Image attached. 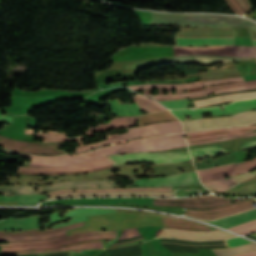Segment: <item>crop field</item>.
<instances>
[{
	"label": "crop field",
	"mask_w": 256,
	"mask_h": 256,
	"mask_svg": "<svg viewBox=\"0 0 256 256\" xmlns=\"http://www.w3.org/2000/svg\"><path fill=\"white\" fill-rule=\"evenodd\" d=\"M187 146L182 134H175L161 137H151L140 140H131L127 144L110 145L100 148L79 156H57V157H38L31 155H24L33 157L31 165L33 167L40 166H63L69 164H76L91 161L104 156L116 154L119 152H138V151H151L173 149ZM23 155V154H20Z\"/></svg>",
	"instance_id": "crop-field-1"
},
{
	"label": "crop field",
	"mask_w": 256,
	"mask_h": 256,
	"mask_svg": "<svg viewBox=\"0 0 256 256\" xmlns=\"http://www.w3.org/2000/svg\"><path fill=\"white\" fill-rule=\"evenodd\" d=\"M112 165L117 166L127 163H135L142 161H150L153 163H173V162H183L190 161V156L188 152L176 153H158V154H149L148 152H140L134 154H124L113 155L107 157ZM105 158H101L89 163H82L68 167L62 168H39L33 169L29 167H20L18 168L17 173L27 174V175H60V174H79V173H90L94 171H99L103 169H108L112 166L109 161Z\"/></svg>",
	"instance_id": "crop-field-2"
},
{
	"label": "crop field",
	"mask_w": 256,
	"mask_h": 256,
	"mask_svg": "<svg viewBox=\"0 0 256 256\" xmlns=\"http://www.w3.org/2000/svg\"><path fill=\"white\" fill-rule=\"evenodd\" d=\"M113 231H93L71 235L46 241L2 244V255H20L45 253L53 251H69L77 249H102V240H114Z\"/></svg>",
	"instance_id": "crop-field-3"
},
{
	"label": "crop field",
	"mask_w": 256,
	"mask_h": 256,
	"mask_svg": "<svg viewBox=\"0 0 256 256\" xmlns=\"http://www.w3.org/2000/svg\"><path fill=\"white\" fill-rule=\"evenodd\" d=\"M142 166H145V165H135V166L122 165V166H118V167H115V168H112V169L91 173V174H88V175L46 177L49 180H45V181H43L44 177L19 175L20 179H18L17 176L14 175L12 177H5L9 181L4 182V183L47 185V184H53V183L68 181V180L91 181V180L103 179V178H107V177H111V176H125V177H134L135 178V176L145 175V176L152 177V175H150L148 173H143V170L140 168ZM149 167H151V170H154V172H155L153 174V177L182 173L183 170L185 172L196 170L193 163L153 165V166H149ZM149 167H147V168H149ZM118 168H120V172L117 173V174H114L110 171V170L118 169ZM180 168H182L181 171L178 170ZM134 170H140V173L139 174H134L133 173ZM54 178H59V179L54 180ZM40 180L42 181V183L38 182Z\"/></svg>",
	"instance_id": "crop-field-4"
},
{
	"label": "crop field",
	"mask_w": 256,
	"mask_h": 256,
	"mask_svg": "<svg viewBox=\"0 0 256 256\" xmlns=\"http://www.w3.org/2000/svg\"><path fill=\"white\" fill-rule=\"evenodd\" d=\"M51 199L58 197H81V196H174L172 187L158 188H132V189H72L49 192ZM50 199L43 195H18L0 196V201H18V204H34L38 201Z\"/></svg>",
	"instance_id": "crop-field-5"
},
{
	"label": "crop field",
	"mask_w": 256,
	"mask_h": 256,
	"mask_svg": "<svg viewBox=\"0 0 256 256\" xmlns=\"http://www.w3.org/2000/svg\"><path fill=\"white\" fill-rule=\"evenodd\" d=\"M151 26L217 28L242 26L256 31V24L240 17L221 15L160 14L152 12Z\"/></svg>",
	"instance_id": "crop-field-6"
},
{
	"label": "crop field",
	"mask_w": 256,
	"mask_h": 256,
	"mask_svg": "<svg viewBox=\"0 0 256 256\" xmlns=\"http://www.w3.org/2000/svg\"><path fill=\"white\" fill-rule=\"evenodd\" d=\"M163 226L182 228L189 230H208L215 229L206 225H202L186 219H173L168 217H162ZM165 228L162 229L159 237L178 238L186 240H222L235 237L236 235L224 232L222 230H208V231H189L182 229Z\"/></svg>",
	"instance_id": "crop-field-7"
},
{
	"label": "crop field",
	"mask_w": 256,
	"mask_h": 256,
	"mask_svg": "<svg viewBox=\"0 0 256 256\" xmlns=\"http://www.w3.org/2000/svg\"><path fill=\"white\" fill-rule=\"evenodd\" d=\"M129 131L130 132L128 133L111 137L100 142L77 146L75 147L74 153L88 151L105 144H110V143H114V142L125 140V139L164 135V134L183 133L182 125L180 121L162 122V123L144 125L138 128H131L129 129Z\"/></svg>",
	"instance_id": "crop-field-8"
},
{
	"label": "crop field",
	"mask_w": 256,
	"mask_h": 256,
	"mask_svg": "<svg viewBox=\"0 0 256 256\" xmlns=\"http://www.w3.org/2000/svg\"><path fill=\"white\" fill-rule=\"evenodd\" d=\"M256 129L255 126H246V127H232V128H223V129H209L203 131H197L189 134H184L187 136L186 141L188 146L222 141V140H229L235 139L243 134L247 133L248 131ZM256 130H252L250 133L242 136L247 137L250 134L254 133ZM250 136H256V132ZM249 136V137H250Z\"/></svg>",
	"instance_id": "crop-field-9"
},
{
	"label": "crop field",
	"mask_w": 256,
	"mask_h": 256,
	"mask_svg": "<svg viewBox=\"0 0 256 256\" xmlns=\"http://www.w3.org/2000/svg\"><path fill=\"white\" fill-rule=\"evenodd\" d=\"M112 183L106 180H102V181H93V182L68 181L64 183L47 185V186H0V194H4V195L30 194V193L49 192L52 190L67 189V188H73V187L116 188V186ZM34 187H38L39 192H34Z\"/></svg>",
	"instance_id": "crop-field-10"
},
{
	"label": "crop field",
	"mask_w": 256,
	"mask_h": 256,
	"mask_svg": "<svg viewBox=\"0 0 256 256\" xmlns=\"http://www.w3.org/2000/svg\"><path fill=\"white\" fill-rule=\"evenodd\" d=\"M249 117H256V111L242 112L229 117L204 118V119L188 120V121H181V122L183 126H188V125L223 122V121L236 120V119L249 118ZM255 123H256V118H249V119L229 121V122H223V123L188 126V127H184V131L191 132V131L202 130L206 128H220V127H228V126L250 125Z\"/></svg>",
	"instance_id": "crop-field-11"
},
{
	"label": "crop field",
	"mask_w": 256,
	"mask_h": 256,
	"mask_svg": "<svg viewBox=\"0 0 256 256\" xmlns=\"http://www.w3.org/2000/svg\"><path fill=\"white\" fill-rule=\"evenodd\" d=\"M202 88L203 87L187 89L186 93L184 94H182L183 90H177L176 95H172V90H168V95H163L162 90H159V95H149L151 90L144 91V94L155 98L157 101H165L185 99L187 97H201L206 96L207 93H224L230 91L246 90L244 82L206 87L205 90H202Z\"/></svg>",
	"instance_id": "crop-field-12"
},
{
	"label": "crop field",
	"mask_w": 256,
	"mask_h": 256,
	"mask_svg": "<svg viewBox=\"0 0 256 256\" xmlns=\"http://www.w3.org/2000/svg\"><path fill=\"white\" fill-rule=\"evenodd\" d=\"M84 223L85 221L71 226L46 230L42 232L40 229L26 231H0V240H7L8 242H26L62 237L66 236L65 230L83 226Z\"/></svg>",
	"instance_id": "crop-field-13"
},
{
	"label": "crop field",
	"mask_w": 256,
	"mask_h": 256,
	"mask_svg": "<svg viewBox=\"0 0 256 256\" xmlns=\"http://www.w3.org/2000/svg\"><path fill=\"white\" fill-rule=\"evenodd\" d=\"M175 55L209 54L223 56L253 57V47L215 46V47H173ZM256 57V47H254Z\"/></svg>",
	"instance_id": "crop-field-14"
},
{
	"label": "crop field",
	"mask_w": 256,
	"mask_h": 256,
	"mask_svg": "<svg viewBox=\"0 0 256 256\" xmlns=\"http://www.w3.org/2000/svg\"><path fill=\"white\" fill-rule=\"evenodd\" d=\"M252 203H255V199L249 198L240 202L232 203L230 205L214 209L198 210L186 208L184 214L193 216L197 219L214 220L221 217L233 215L245 210L253 209L254 206Z\"/></svg>",
	"instance_id": "crop-field-15"
},
{
	"label": "crop field",
	"mask_w": 256,
	"mask_h": 256,
	"mask_svg": "<svg viewBox=\"0 0 256 256\" xmlns=\"http://www.w3.org/2000/svg\"><path fill=\"white\" fill-rule=\"evenodd\" d=\"M231 203L230 199L206 195L186 199H154V205L159 206H182L191 208H213Z\"/></svg>",
	"instance_id": "crop-field-16"
},
{
	"label": "crop field",
	"mask_w": 256,
	"mask_h": 256,
	"mask_svg": "<svg viewBox=\"0 0 256 256\" xmlns=\"http://www.w3.org/2000/svg\"><path fill=\"white\" fill-rule=\"evenodd\" d=\"M2 139L0 141V147L25 153L33 154H48V155H57V154H66V152L56 150L57 146H66V143L60 144H46V143H32V142H23L18 140H13L8 137L0 136Z\"/></svg>",
	"instance_id": "crop-field-17"
},
{
	"label": "crop field",
	"mask_w": 256,
	"mask_h": 256,
	"mask_svg": "<svg viewBox=\"0 0 256 256\" xmlns=\"http://www.w3.org/2000/svg\"><path fill=\"white\" fill-rule=\"evenodd\" d=\"M224 108L225 110L223 111H220V108L218 107L214 109L178 110V111H171V112L181 120H186L185 117L189 115H192V119L202 118V114H206V113H210L213 117L224 116V115H230V114H234V113H238L246 110L256 109V99L236 102L229 106H225Z\"/></svg>",
	"instance_id": "crop-field-18"
},
{
	"label": "crop field",
	"mask_w": 256,
	"mask_h": 256,
	"mask_svg": "<svg viewBox=\"0 0 256 256\" xmlns=\"http://www.w3.org/2000/svg\"><path fill=\"white\" fill-rule=\"evenodd\" d=\"M133 99L139 106L140 111L157 112L166 110L160 104L148 97L137 94ZM112 115H138L139 110L136 104L134 105H120L118 100L108 101Z\"/></svg>",
	"instance_id": "crop-field-19"
},
{
	"label": "crop field",
	"mask_w": 256,
	"mask_h": 256,
	"mask_svg": "<svg viewBox=\"0 0 256 256\" xmlns=\"http://www.w3.org/2000/svg\"><path fill=\"white\" fill-rule=\"evenodd\" d=\"M254 168H256V159L249 162L241 163V164H231V165L212 168V169L200 170L198 171V173H199L201 182L204 183V182L222 179V178H225V176L230 177L232 175L247 172Z\"/></svg>",
	"instance_id": "crop-field-20"
},
{
	"label": "crop field",
	"mask_w": 256,
	"mask_h": 256,
	"mask_svg": "<svg viewBox=\"0 0 256 256\" xmlns=\"http://www.w3.org/2000/svg\"><path fill=\"white\" fill-rule=\"evenodd\" d=\"M133 181V185H126V187L180 186L200 183L196 172L147 180L133 179Z\"/></svg>",
	"instance_id": "crop-field-21"
},
{
	"label": "crop field",
	"mask_w": 256,
	"mask_h": 256,
	"mask_svg": "<svg viewBox=\"0 0 256 256\" xmlns=\"http://www.w3.org/2000/svg\"><path fill=\"white\" fill-rule=\"evenodd\" d=\"M251 58L238 57H222V56H208V55H194V56H175V63L184 62L187 64L199 63L203 66L214 64L217 62L229 63L235 60H249Z\"/></svg>",
	"instance_id": "crop-field-22"
},
{
	"label": "crop field",
	"mask_w": 256,
	"mask_h": 256,
	"mask_svg": "<svg viewBox=\"0 0 256 256\" xmlns=\"http://www.w3.org/2000/svg\"><path fill=\"white\" fill-rule=\"evenodd\" d=\"M175 36L180 37H233L232 28L191 29L181 28Z\"/></svg>",
	"instance_id": "crop-field-23"
},
{
	"label": "crop field",
	"mask_w": 256,
	"mask_h": 256,
	"mask_svg": "<svg viewBox=\"0 0 256 256\" xmlns=\"http://www.w3.org/2000/svg\"><path fill=\"white\" fill-rule=\"evenodd\" d=\"M244 81L242 77L239 78H231L224 80H216V81H206V82H198V83H188V84H180V85H166V84H151V85H137V86H127L131 89H146V88H167V89H181V88H192L199 87L203 85H215L229 82H239Z\"/></svg>",
	"instance_id": "crop-field-24"
},
{
	"label": "crop field",
	"mask_w": 256,
	"mask_h": 256,
	"mask_svg": "<svg viewBox=\"0 0 256 256\" xmlns=\"http://www.w3.org/2000/svg\"><path fill=\"white\" fill-rule=\"evenodd\" d=\"M175 46L233 45L234 38H177Z\"/></svg>",
	"instance_id": "crop-field-25"
},
{
	"label": "crop field",
	"mask_w": 256,
	"mask_h": 256,
	"mask_svg": "<svg viewBox=\"0 0 256 256\" xmlns=\"http://www.w3.org/2000/svg\"><path fill=\"white\" fill-rule=\"evenodd\" d=\"M256 175V172H247L243 175L219 180V181H214V182H209V183H204V185L213 193L228 190L233 188L237 183H240L242 181H245L247 179H250Z\"/></svg>",
	"instance_id": "crop-field-26"
},
{
	"label": "crop field",
	"mask_w": 256,
	"mask_h": 256,
	"mask_svg": "<svg viewBox=\"0 0 256 256\" xmlns=\"http://www.w3.org/2000/svg\"><path fill=\"white\" fill-rule=\"evenodd\" d=\"M40 215L18 220H7L0 223V230H26L38 228Z\"/></svg>",
	"instance_id": "crop-field-27"
},
{
	"label": "crop field",
	"mask_w": 256,
	"mask_h": 256,
	"mask_svg": "<svg viewBox=\"0 0 256 256\" xmlns=\"http://www.w3.org/2000/svg\"><path fill=\"white\" fill-rule=\"evenodd\" d=\"M254 219H256V209L252 211L244 212L241 214L229 216L226 218H222L214 221H207V222L228 228V227L240 225L242 223H245Z\"/></svg>",
	"instance_id": "crop-field-28"
},
{
	"label": "crop field",
	"mask_w": 256,
	"mask_h": 256,
	"mask_svg": "<svg viewBox=\"0 0 256 256\" xmlns=\"http://www.w3.org/2000/svg\"><path fill=\"white\" fill-rule=\"evenodd\" d=\"M136 236H140V234L136 230V228L126 229V230L122 231V233H121V235H120L118 240L127 239V238H131V237H136ZM144 241H146V239L144 237H141V238H137V239L121 242V243H118V244H114V245H111L108 248L128 246V245H133V244L141 243V242H144Z\"/></svg>",
	"instance_id": "crop-field-29"
},
{
	"label": "crop field",
	"mask_w": 256,
	"mask_h": 256,
	"mask_svg": "<svg viewBox=\"0 0 256 256\" xmlns=\"http://www.w3.org/2000/svg\"><path fill=\"white\" fill-rule=\"evenodd\" d=\"M235 160H236L235 157L233 156V154H231V155L220 157V158L217 157V160H214L213 158H208V159L202 160L201 163L196 161V162H194V164H195L196 169L199 170V169L208 168V167H212V166L230 164V163L234 162ZM207 162H210V163L207 164Z\"/></svg>",
	"instance_id": "crop-field-30"
},
{
	"label": "crop field",
	"mask_w": 256,
	"mask_h": 256,
	"mask_svg": "<svg viewBox=\"0 0 256 256\" xmlns=\"http://www.w3.org/2000/svg\"><path fill=\"white\" fill-rule=\"evenodd\" d=\"M26 134H37V137L45 138L44 142H63V141H69V140H77V139H83L82 136L76 137V138H70L66 139L64 133H57V132H49V134H43V132L39 133H33L32 130H25Z\"/></svg>",
	"instance_id": "crop-field-31"
},
{
	"label": "crop field",
	"mask_w": 256,
	"mask_h": 256,
	"mask_svg": "<svg viewBox=\"0 0 256 256\" xmlns=\"http://www.w3.org/2000/svg\"><path fill=\"white\" fill-rule=\"evenodd\" d=\"M251 250H256V244L255 243L240 246V247H234V248H230V249H215V250H212V251H214L217 254V256H229V255H232V254L251 251Z\"/></svg>",
	"instance_id": "crop-field-32"
},
{
	"label": "crop field",
	"mask_w": 256,
	"mask_h": 256,
	"mask_svg": "<svg viewBox=\"0 0 256 256\" xmlns=\"http://www.w3.org/2000/svg\"><path fill=\"white\" fill-rule=\"evenodd\" d=\"M192 158L202 156V155H214L219 153H228L226 150H222L216 146L206 147V148H199L190 150Z\"/></svg>",
	"instance_id": "crop-field-33"
},
{
	"label": "crop field",
	"mask_w": 256,
	"mask_h": 256,
	"mask_svg": "<svg viewBox=\"0 0 256 256\" xmlns=\"http://www.w3.org/2000/svg\"><path fill=\"white\" fill-rule=\"evenodd\" d=\"M233 231L239 232L241 234H246L250 232H255L256 231V220L250 221L248 223L242 224L237 227L229 228Z\"/></svg>",
	"instance_id": "crop-field-34"
},
{
	"label": "crop field",
	"mask_w": 256,
	"mask_h": 256,
	"mask_svg": "<svg viewBox=\"0 0 256 256\" xmlns=\"http://www.w3.org/2000/svg\"><path fill=\"white\" fill-rule=\"evenodd\" d=\"M161 103L169 109H182V108H187V103H191V102H188V99H185V100H178V101H165Z\"/></svg>",
	"instance_id": "crop-field-35"
},
{
	"label": "crop field",
	"mask_w": 256,
	"mask_h": 256,
	"mask_svg": "<svg viewBox=\"0 0 256 256\" xmlns=\"http://www.w3.org/2000/svg\"><path fill=\"white\" fill-rule=\"evenodd\" d=\"M236 76H240L239 72L211 75V76H203V77H200V79H201V81H206V80L222 79V78H229V77H236Z\"/></svg>",
	"instance_id": "crop-field-36"
},
{
	"label": "crop field",
	"mask_w": 256,
	"mask_h": 256,
	"mask_svg": "<svg viewBox=\"0 0 256 256\" xmlns=\"http://www.w3.org/2000/svg\"><path fill=\"white\" fill-rule=\"evenodd\" d=\"M226 1L232 7V9L235 11V13H238V14L247 13V11L244 9V7L237 0H226Z\"/></svg>",
	"instance_id": "crop-field-37"
},
{
	"label": "crop field",
	"mask_w": 256,
	"mask_h": 256,
	"mask_svg": "<svg viewBox=\"0 0 256 256\" xmlns=\"http://www.w3.org/2000/svg\"><path fill=\"white\" fill-rule=\"evenodd\" d=\"M228 246L229 247H234V246H239V245H244V244H248V243H252L248 240H245L241 237H237V238H232V239H228Z\"/></svg>",
	"instance_id": "crop-field-38"
},
{
	"label": "crop field",
	"mask_w": 256,
	"mask_h": 256,
	"mask_svg": "<svg viewBox=\"0 0 256 256\" xmlns=\"http://www.w3.org/2000/svg\"><path fill=\"white\" fill-rule=\"evenodd\" d=\"M255 146H256V140L250 141V142H247V143L243 144L241 150L251 148V147H255Z\"/></svg>",
	"instance_id": "crop-field-39"
},
{
	"label": "crop field",
	"mask_w": 256,
	"mask_h": 256,
	"mask_svg": "<svg viewBox=\"0 0 256 256\" xmlns=\"http://www.w3.org/2000/svg\"><path fill=\"white\" fill-rule=\"evenodd\" d=\"M239 2L246 8L248 12H250L251 5L248 0H239Z\"/></svg>",
	"instance_id": "crop-field-40"
},
{
	"label": "crop field",
	"mask_w": 256,
	"mask_h": 256,
	"mask_svg": "<svg viewBox=\"0 0 256 256\" xmlns=\"http://www.w3.org/2000/svg\"><path fill=\"white\" fill-rule=\"evenodd\" d=\"M11 119H12L11 117L0 115V120L1 121H5V122H8V123H11Z\"/></svg>",
	"instance_id": "crop-field-41"
},
{
	"label": "crop field",
	"mask_w": 256,
	"mask_h": 256,
	"mask_svg": "<svg viewBox=\"0 0 256 256\" xmlns=\"http://www.w3.org/2000/svg\"><path fill=\"white\" fill-rule=\"evenodd\" d=\"M255 182H256V177L251 179V180L245 181V182H243L239 185L244 186V185L252 184V183H255Z\"/></svg>",
	"instance_id": "crop-field-42"
},
{
	"label": "crop field",
	"mask_w": 256,
	"mask_h": 256,
	"mask_svg": "<svg viewBox=\"0 0 256 256\" xmlns=\"http://www.w3.org/2000/svg\"><path fill=\"white\" fill-rule=\"evenodd\" d=\"M236 256H256V252H248V253H244Z\"/></svg>",
	"instance_id": "crop-field-43"
},
{
	"label": "crop field",
	"mask_w": 256,
	"mask_h": 256,
	"mask_svg": "<svg viewBox=\"0 0 256 256\" xmlns=\"http://www.w3.org/2000/svg\"><path fill=\"white\" fill-rule=\"evenodd\" d=\"M250 35H251V38L256 39V33L255 32L250 30Z\"/></svg>",
	"instance_id": "crop-field-44"
},
{
	"label": "crop field",
	"mask_w": 256,
	"mask_h": 256,
	"mask_svg": "<svg viewBox=\"0 0 256 256\" xmlns=\"http://www.w3.org/2000/svg\"><path fill=\"white\" fill-rule=\"evenodd\" d=\"M252 41H253V45L256 46V40L252 39Z\"/></svg>",
	"instance_id": "crop-field-45"
},
{
	"label": "crop field",
	"mask_w": 256,
	"mask_h": 256,
	"mask_svg": "<svg viewBox=\"0 0 256 256\" xmlns=\"http://www.w3.org/2000/svg\"><path fill=\"white\" fill-rule=\"evenodd\" d=\"M224 242H225V244H226V247L228 248L226 240H225Z\"/></svg>",
	"instance_id": "crop-field-46"
},
{
	"label": "crop field",
	"mask_w": 256,
	"mask_h": 256,
	"mask_svg": "<svg viewBox=\"0 0 256 256\" xmlns=\"http://www.w3.org/2000/svg\"><path fill=\"white\" fill-rule=\"evenodd\" d=\"M256 20V19H255Z\"/></svg>",
	"instance_id": "crop-field-47"
},
{
	"label": "crop field",
	"mask_w": 256,
	"mask_h": 256,
	"mask_svg": "<svg viewBox=\"0 0 256 256\" xmlns=\"http://www.w3.org/2000/svg\"><path fill=\"white\" fill-rule=\"evenodd\" d=\"M256 185V184H255Z\"/></svg>",
	"instance_id": "crop-field-48"
}]
</instances>
